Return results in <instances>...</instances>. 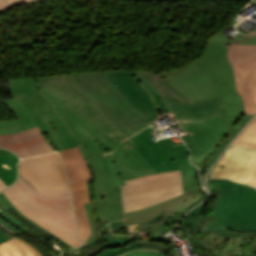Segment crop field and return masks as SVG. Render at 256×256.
Listing matches in <instances>:
<instances>
[{"mask_svg": "<svg viewBox=\"0 0 256 256\" xmlns=\"http://www.w3.org/2000/svg\"><path fill=\"white\" fill-rule=\"evenodd\" d=\"M18 217L21 219V216L18 215ZM22 220V219H21ZM23 221V220H22ZM24 222V221H23ZM26 223V222H25ZM28 225V227H30V223H26ZM36 230L40 231L41 233L45 234L46 232H44L43 230H41L40 228L38 227H35Z\"/></svg>", "mask_w": 256, "mask_h": 256, "instance_id": "36", "label": "crop field"}, {"mask_svg": "<svg viewBox=\"0 0 256 256\" xmlns=\"http://www.w3.org/2000/svg\"><path fill=\"white\" fill-rule=\"evenodd\" d=\"M37 80L43 94H29L18 99L32 116L41 115L61 150L79 147L93 173L96 198L101 201L106 220L124 219L119 186L112 188L109 166L105 154L93 142L96 139L83 129L72 110L50 90L47 77Z\"/></svg>", "mask_w": 256, "mask_h": 256, "instance_id": "3", "label": "crop field"}, {"mask_svg": "<svg viewBox=\"0 0 256 256\" xmlns=\"http://www.w3.org/2000/svg\"><path fill=\"white\" fill-rule=\"evenodd\" d=\"M36 1H40V0H0V13L10 8H13L16 5L23 4V3L36 2Z\"/></svg>", "mask_w": 256, "mask_h": 256, "instance_id": "27", "label": "crop field"}, {"mask_svg": "<svg viewBox=\"0 0 256 256\" xmlns=\"http://www.w3.org/2000/svg\"><path fill=\"white\" fill-rule=\"evenodd\" d=\"M227 182L228 180L209 181V189L213 193L214 190L219 192Z\"/></svg>", "mask_w": 256, "mask_h": 256, "instance_id": "28", "label": "crop field"}, {"mask_svg": "<svg viewBox=\"0 0 256 256\" xmlns=\"http://www.w3.org/2000/svg\"><path fill=\"white\" fill-rule=\"evenodd\" d=\"M256 171V151L230 146L209 178H230L249 184Z\"/></svg>", "mask_w": 256, "mask_h": 256, "instance_id": "11", "label": "crop field"}, {"mask_svg": "<svg viewBox=\"0 0 256 256\" xmlns=\"http://www.w3.org/2000/svg\"><path fill=\"white\" fill-rule=\"evenodd\" d=\"M163 212L155 217L152 221L138 224L139 228L147 229L148 233H166L172 224V220L177 219L178 215H180L182 212H177L171 218L163 215Z\"/></svg>", "mask_w": 256, "mask_h": 256, "instance_id": "21", "label": "crop field"}, {"mask_svg": "<svg viewBox=\"0 0 256 256\" xmlns=\"http://www.w3.org/2000/svg\"><path fill=\"white\" fill-rule=\"evenodd\" d=\"M104 235V245L87 256H123L136 251L154 252L158 255L162 252L163 254L166 253L167 247L157 242L131 244L135 239L139 238V236L129 238V236H115L109 232H105Z\"/></svg>", "mask_w": 256, "mask_h": 256, "instance_id": "14", "label": "crop field"}, {"mask_svg": "<svg viewBox=\"0 0 256 256\" xmlns=\"http://www.w3.org/2000/svg\"><path fill=\"white\" fill-rule=\"evenodd\" d=\"M179 165L181 167L183 177L185 198L188 197V195H191L192 198L189 200H185V198L180 199L181 202L178 204V206H173L174 211L171 214H175L177 211L183 212L191 203L201 198V193L198 190L199 188L195 178L196 169L190 163Z\"/></svg>", "mask_w": 256, "mask_h": 256, "instance_id": "17", "label": "crop field"}, {"mask_svg": "<svg viewBox=\"0 0 256 256\" xmlns=\"http://www.w3.org/2000/svg\"><path fill=\"white\" fill-rule=\"evenodd\" d=\"M205 221H206V219L202 217L199 225L197 226V229H196L197 231L196 232H205V231H207L206 228H205Z\"/></svg>", "mask_w": 256, "mask_h": 256, "instance_id": "32", "label": "crop field"}, {"mask_svg": "<svg viewBox=\"0 0 256 256\" xmlns=\"http://www.w3.org/2000/svg\"><path fill=\"white\" fill-rule=\"evenodd\" d=\"M67 176L57 152L21 160L17 182L2 191L25 216L73 247L83 243L75 238L66 187Z\"/></svg>", "mask_w": 256, "mask_h": 256, "instance_id": "2", "label": "crop field"}, {"mask_svg": "<svg viewBox=\"0 0 256 256\" xmlns=\"http://www.w3.org/2000/svg\"><path fill=\"white\" fill-rule=\"evenodd\" d=\"M206 203H204L203 205H201V206L197 207L195 210H193L189 214V216L184 219L182 224L180 226H178V228H184V231H186L187 233L194 232V228L201 218V216H199V215L202 212V210L204 209Z\"/></svg>", "mask_w": 256, "mask_h": 256, "instance_id": "24", "label": "crop field"}, {"mask_svg": "<svg viewBox=\"0 0 256 256\" xmlns=\"http://www.w3.org/2000/svg\"><path fill=\"white\" fill-rule=\"evenodd\" d=\"M126 229L131 231V232H128V233L140 231V230L138 229V227H137V224H136V225H132V226H128V227H126Z\"/></svg>", "mask_w": 256, "mask_h": 256, "instance_id": "33", "label": "crop field"}, {"mask_svg": "<svg viewBox=\"0 0 256 256\" xmlns=\"http://www.w3.org/2000/svg\"><path fill=\"white\" fill-rule=\"evenodd\" d=\"M207 228L209 231H211L219 236H226V237H236V236L256 234V232L239 233V232H228V231L220 230V229L216 228L210 221H207Z\"/></svg>", "mask_w": 256, "mask_h": 256, "instance_id": "26", "label": "crop field"}, {"mask_svg": "<svg viewBox=\"0 0 256 256\" xmlns=\"http://www.w3.org/2000/svg\"><path fill=\"white\" fill-rule=\"evenodd\" d=\"M10 238H8L6 235H4L3 233L0 232V242L6 241Z\"/></svg>", "mask_w": 256, "mask_h": 256, "instance_id": "34", "label": "crop field"}, {"mask_svg": "<svg viewBox=\"0 0 256 256\" xmlns=\"http://www.w3.org/2000/svg\"><path fill=\"white\" fill-rule=\"evenodd\" d=\"M8 186L0 179V191L7 188Z\"/></svg>", "mask_w": 256, "mask_h": 256, "instance_id": "35", "label": "crop field"}, {"mask_svg": "<svg viewBox=\"0 0 256 256\" xmlns=\"http://www.w3.org/2000/svg\"><path fill=\"white\" fill-rule=\"evenodd\" d=\"M48 83L113 155L124 180L177 170L178 163L189 162L184 144L173 146L169 138L156 142L151 126L140 131L149 124L103 72L53 76Z\"/></svg>", "mask_w": 256, "mask_h": 256, "instance_id": "1", "label": "crop field"}, {"mask_svg": "<svg viewBox=\"0 0 256 256\" xmlns=\"http://www.w3.org/2000/svg\"><path fill=\"white\" fill-rule=\"evenodd\" d=\"M0 147L11 149L20 158L53 151L38 127L11 135H0Z\"/></svg>", "mask_w": 256, "mask_h": 256, "instance_id": "12", "label": "crop field"}, {"mask_svg": "<svg viewBox=\"0 0 256 256\" xmlns=\"http://www.w3.org/2000/svg\"><path fill=\"white\" fill-rule=\"evenodd\" d=\"M27 234H29V235L33 236L30 232H27ZM35 237H37V236H35Z\"/></svg>", "mask_w": 256, "mask_h": 256, "instance_id": "38", "label": "crop field"}, {"mask_svg": "<svg viewBox=\"0 0 256 256\" xmlns=\"http://www.w3.org/2000/svg\"><path fill=\"white\" fill-rule=\"evenodd\" d=\"M182 197H184V194L138 211L125 213L127 219L118 222H111V228L117 230L128 225L152 220L156 215Z\"/></svg>", "mask_w": 256, "mask_h": 256, "instance_id": "15", "label": "crop field"}, {"mask_svg": "<svg viewBox=\"0 0 256 256\" xmlns=\"http://www.w3.org/2000/svg\"><path fill=\"white\" fill-rule=\"evenodd\" d=\"M211 222L228 231H256V189L229 181L218 193Z\"/></svg>", "mask_w": 256, "mask_h": 256, "instance_id": "7", "label": "crop field"}, {"mask_svg": "<svg viewBox=\"0 0 256 256\" xmlns=\"http://www.w3.org/2000/svg\"><path fill=\"white\" fill-rule=\"evenodd\" d=\"M251 117L252 115L242 113L221 114L178 122L187 133L180 137L190 149L191 162L197 165L200 171H208L223 149Z\"/></svg>", "mask_w": 256, "mask_h": 256, "instance_id": "6", "label": "crop field"}, {"mask_svg": "<svg viewBox=\"0 0 256 256\" xmlns=\"http://www.w3.org/2000/svg\"><path fill=\"white\" fill-rule=\"evenodd\" d=\"M13 207L11 202L7 199V197L1 192L0 193V222L7 226L8 228L24 234L29 230V228H26L25 224L14 218L10 213L6 211V209H10Z\"/></svg>", "mask_w": 256, "mask_h": 256, "instance_id": "20", "label": "crop field"}, {"mask_svg": "<svg viewBox=\"0 0 256 256\" xmlns=\"http://www.w3.org/2000/svg\"><path fill=\"white\" fill-rule=\"evenodd\" d=\"M96 144H98L106 154L105 157L108 161V164L110 166L111 174H112V182H113V187L118 186V185H125L120 172L111 156V154L96 140L94 141Z\"/></svg>", "mask_w": 256, "mask_h": 256, "instance_id": "25", "label": "crop field"}, {"mask_svg": "<svg viewBox=\"0 0 256 256\" xmlns=\"http://www.w3.org/2000/svg\"><path fill=\"white\" fill-rule=\"evenodd\" d=\"M98 242L103 243L104 242V236H103V232L104 231H109V225L107 224V222L104 223H98Z\"/></svg>", "mask_w": 256, "mask_h": 256, "instance_id": "29", "label": "crop field"}, {"mask_svg": "<svg viewBox=\"0 0 256 256\" xmlns=\"http://www.w3.org/2000/svg\"><path fill=\"white\" fill-rule=\"evenodd\" d=\"M235 74L236 90L243 97L246 111L256 113V45L233 44L228 50Z\"/></svg>", "mask_w": 256, "mask_h": 256, "instance_id": "10", "label": "crop field"}, {"mask_svg": "<svg viewBox=\"0 0 256 256\" xmlns=\"http://www.w3.org/2000/svg\"><path fill=\"white\" fill-rule=\"evenodd\" d=\"M66 173L69 177V193L77 221V237L87 242L91 231L83 202H89L86 181L92 180L89 167L78 147L59 151Z\"/></svg>", "mask_w": 256, "mask_h": 256, "instance_id": "9", "label": "crop field"}, {"mask_svg": "<svg viewBox=\"0 0 256 256\" xmlns=\"http://www.w3.org/2000/svg\"><path fill=\"white\" fill-rule=\"evenodd\" d=\"M18 157L0 149V178L9 186L16 181Z\"/></svg>", "mask_w": 256, "mask_h": 256, "instance_id": "19", "label": "crop field"}, {"mask_svg": "<svg viewBox=\"0 0 256 256\" xmlns=\"http://www.w3.org/2000/svg\"><path fill=\"white\" fill-rule=\"evenodd\" d=\"M13 211H15L17 214L21 215L23 218H25L27 221H29L30 223L38 226L37 224H35L34 222H32L30 219H28L27 217H25L23 214H21L15 207L12 208ZM40 227V226H38ZM41 229H43L42 227H40ZM44 231H46L45 229H43ZM47 233H49L48 231H46ZM51 235V237H53L55 240H57L59 243L63 244V245H66V246H69L67 245L66 243H64L63 241H61L60 239H58L57 237H55L54 235H52L51 233H49ZM71 247V246H69Z\"/></svg>", "mask_w": 256, "mask_h": 256, "instance_id": "30", "label": "crop field"}, {"mask_svg": "<svg viewBox=\"0 0 256 256\" xmlns=\"http://www.w3.org/2000/svg\"><path fill=\"white\" fill-rule=\"evenodd\" d=\"M126 256H158V255L154 253H148V252H137V253L129 254ZM160 256H165V255L161 254Z\"/></svg>", "mask_w": 256, "mask_h": 256, "instance_id": "31", "label": "crop field"}, {"mask_svg": "<svg viewBox=\"0 0 256 256\" xmlns=\"http://www.w3.org/2000/svg\"><path fill=\"white\" fill-rule=\"evenodd\" d=\"M226 41L256 44V29L249 34H237L236 40H228L218 32L210 37L200 58L175 70L159 73L191 101L223 95L227 113H246L226 57L232 44L225 46Z\"/></svg>", "mask_w": 256, "mask_h": 256, "instance_id": "4", "label": "crop field"}, {"mask_svg": "<svg viewBox=\"0 0 256 256\" xmlns=\"http://www.w3.org/2000/svg\"><path fill=\"white\" fill-rule=\"evenodd\" d=\"M0 256H41V253L28 243L13 237L0 244Z\"/></svg>", "mask_w": 256, "mask_h": 256, "instance_id": "18", "label": "crop field"}, {"mask_svg": "<svg viewBox=\"0 0 256 256\" xmlns=\"http://www.w3.org/2000/svg\"><path fill=\"white\" fill-rule=\"evenodd\" d=\"M87 184H88V189H89V194H90V203H84V204H85V207L87 210V214H88V218H89V222H90V226H91V230H92L91 237H90L89 241L87 243H85V245H83L77 249H70L69 251H66L65 249H61L63 254L70 253V254H76V255L79 254V256L82 255L78 250H80L81 248H83L87 245L93 244L97 240V225H96V223L106 221L102 214L100 201L95 199L93 181H89V182H87Z\"/></svg>", "mask_w": 256, "mask_h": 256, "instance_id": "16", "label": "crop field"}, {"mask_svg": "<svg viewBox=\"0 0 256 256\" xmlns=\"http://www.w3.org/2000/svg\"><path fill=\"white\" fill-rule=\"evenodd\" d=\"M17 97L29 93H41L37 87L36 78L13 80Z\"/></svg>", "mask_w": 256, "mask_h": 256, "instance_id": "23", "label": "crop field"}, {"mask_svg": "<svg viewBox=\"0 0 256 256\" xmlns=\"http://www.w3.org/2000/svg\"><path fill=\"white\" fill-rule=\"evenodd\" d=\"M12 96L14 99L3 100V104L15 115V120L0 121V134H11L39 126L42 133L47 132L55 144L57 150H60L53 135L48 130L40 115L32 118L30 113L19 102L15 96L12 80H9Z\"/></svg>", "mask_w": 256, "mask_h": 256, "instance_id": "13", "label": "crop field"}, {"mask_svg": "<svg viewBox=\"0 0 256 256\" xmlns=\"http://www.w3.org/2000/svg\"><path fill=\"white\" fill-rule=\"evenodd\" d=\"M121 186L125 212L141 209L184 193L180 170L125 181Z\"/></svg>", "mask_w": 256, "mask_h": 256, "instance_id": "8", "label": "crop field"}, {"mask_svg": "<svg viewBox=\"0 0 256 256\" xmlns=\"http://www.w3.org/2000/svg\"><path fill=\"white\" fill-rule=\"evenodd\" d=\"M250 185H253V186L256 187V173H255V175H254L252 181L250 182Z\"/></svg>", "mask_w": 256, "mask_h": 256, "instance_id": "37", "label": "crop field"}, {"mask_svg": "<svg viewBox=\"0 0 256 256\" xmlns=\"http://www.w3.org/2000/svg\"><path fill=\"white\" fill-rule=\"evenodd\" d=\"M103 72L150 124L172 112L177 121L226 113L222 96L191 102L159 73L133 70Z\"/></svg>", "mask_w": 256, "mask_h": 256, "instance_id": "5", "label": "crop field"}, {"mask_svg": "<svg viewBox=\"0 0 256 256\" xmlns=\"http://www.w3.org/2000/svg\"><path fill=\"white\" fill-rule=\"evenodd\" d=\"M232 145L256 149V116L249 123Z\"/></svg>", "mask_w": 256, "mask_h": 256, "instance_id": "22", "label": "crop field"}]
</instances>
